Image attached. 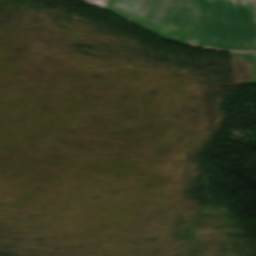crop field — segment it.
Here are the masks:
<instances>
[{"instance_id":"obj_1","label":"crop field","mask_w":256,"mask_h":256,"mask_svg":"<svg viewBox=\"0 0 256 256\" xmlns=\"http://www.w3.org/2000/svg\"><path fill=\"white\" fill-rule=\"evenodd\" d=\"M110 12L164 39L186 30L188 46L256 52L255 0H116Z\"/></svg>"},{"instance_id":"obj_2","label":"crop field","mask_w":256,"mask_h":256,"mask_svg":"<svg viewBox=\"0 0 256 256\" xmlns=\"http://www.w3.org/2000/svg\"><path fill=\"white\" fill-rule=\"evenodd\" d=\"M89 3H92L94 5H97L105 10H109L113 0H85Z\"/></svg>"},{"instance_id":"obj_3","label":"crop field","mask_w":256,"mask_h":256,"mask_svg":"<svg viewBox=\"0 0 256 256\" xmlns=\"http://www.w3.org/2000/svg\"><path fill=\"white\" fill-rule=\"evenodd\" d=\"M254 58V61H255V63H256V56L255 57H253Z\"/></svg>"}]
</instances>
